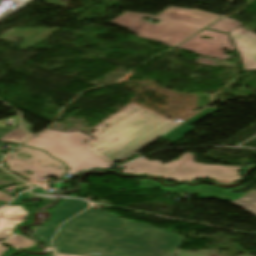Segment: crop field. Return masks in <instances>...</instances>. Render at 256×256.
<instances>
[{"instance_id":"crop-field-21","label":"crop field","mask_w":256,"mask_h":256,"mask_svg":"<svg viewBox=\"0 0 256 256\" xmlns=\"http://www.w3.org/2000/svg\"><path fill=\"white\" fill-rule=\"evenodd\" d=\"M6 203H8V202L0 201V206L4 205V204H6Z\"/></svg>"},{"instance_id":"crop-field-20","label":"crop field","mask_w":256,"mask_h":256,"mask_svg":"<svg viewBox=\"0 0 256 256\" xmlns=\"http://www.w3.org/2000/svg\"><path fill=\"white\" fill-rule=\"evenodd\" d=\"M62 186H66V185H63L61 183H58V184H55L54 187L58 188V187H62Z\"/></svg>"},{"instance_id":"crop-field-14","label":"crop field","mask_w":256,"mask_h":256,"mask_svg":"<svg viewBox=\"0 0 256 256\" xmlns=\"http://www.w3.org/2000/svg\"><path fill=\"white\" fill-rule=\"evenodd\" d=\"M256 216V191H251L236 201H230Z\"/></svg>"},{"instance_id":"crop-field-19","label":"crop field","mask_w":256,"mask_h":256,"mask_svg":"<svg viewBox=\"0 0 256 256\" xmlns=\"http://www.w3.org/2000/svg\"><path fill=\"white\" fill-rule=\"evenodd\" d=\"M44 190H42L41 188H38V189H36V190H33L32 192L33 193H36V192H38V193H41V194H45V192H43Z\"/></svg>"},{"instance_id":"crop-field-2","label":"crop field","mask_w":256,"mask_h":256,"mask_svg":"<svg viewBox=\"0 0 256 256\" xmlns=\"http://www.w3.org/2000/svg\"><path fill=\"white\" fill-rule=\"evenodd\" d=\"M105 124L109 126L104 127ZM177 126L179 124L132 104L94 128L98 130L93 133L96 139L86 148L110 164L118 159L125 161Z\"/></svg>"},{"instance_id":"crop-field-5","label":"crop field","mask_w":256,"mask_h":256,"mask_svg":"<svg viewBox=\"0 0 256 256\" xmlns=\"http://www.w3.org/2000/svg\"><path fill=\"white\" fill-rule=\"evenodd\" d=\"M17 150L19 152L8 155L4 161L7 163L9 171L29 179L28 183L38 182L37 178L46 176L61 179L66 171L65 165L62 162L50 157L43 151L24 146H21ZM23 151L26 152L25 154L32 156V158L20 160L19 156L17 155L19 153H23ZM11 156H14V159H10ZM38 160L41 162H38ZM30 163L32 165H29ZM43 165H45V168L42 167ZM50 165L54 166L49 167ZM58 167H60L61 170H59ZM24 171H32L33 175L23 173Z\"/></svg>"},{"instance_id":"crop-field-3","label":"crop field","mask_w":256,"mask_h":256,"mask_svg":"<svg viewBox=\"0 0 256 256\" xmlns=\"http://www.w3.org/2000/svg\"><path fill=\"white\" fill-rule=\"evenodd\" d=\"M143 16L162 21L153 25L140 19ZM220 17L198 9L186 10L170 7L157 17L125 12L110 23L131 29L138 33V37L163 42L174 47Z\"/></svg>"},{"instance_id":"crop-field-8","label":"crop field","mask_w":256,"mask_h":256,"mask_svg":"<svg viewBox=\"0 0 256 256\" xmlns=\"http://www.w3.org/2000/svg\"><path fill=\"white\" fill-rule=\"evenodd\" d=\"M87 203L76 199H64L61 205L54 209L53 220L46 225V227H35L34 235L45 240V244L50 247V238L55 234L58 225L84 210Z\"/></svg>"},{"instance_id":"crop-field-10","label":"crop field","mask_w":256,"mask_h":256,"mask_svg":"<svg viewBox=\"0 0 256 256\" xmlns=\"http://www.w3.org/2000/svg\"><path fill=\"white\" fill-rule=\"evenodd\" d=\"M192 155V153H188L186 152L185 154H183L182 156H180L177 160L172 161L171 163H167L165 166L160 164V162H150L146 159H141L139 161H136L132 164H129L127 166H124L126 169L123 170L124 174H147V175H153V176H163L166 175L172 171H174L178 166H180L183 162H185L190 156ZM130 167L135 168V170H137V172L135 173V171L132 169V171H130Z\"/></svg>"},{"instance_id":"crop-field-7","label":"crop field","mask_w":256,"mask_h":256,"mask_svg":"<svg viewBox=\"0 0 256 256\" xmlns=\"http://www.w3.org/2000/svg\"><path fill=\"white\" fill-rule=\"evenodd\" d=\"M203 35L212 38V40L200 38ZM178 48L193 51L196 52V54L204 55L222 61L232 57L224 55L225 52L222 51L224 48L235 51V48L227 34L207 29L203 30Z\"/></svg>"},{"instance_id":"crop-field-1","label":"crop field","mask_w":256,"mask_h":256,"mask_svg":"<svg viewBox=\"0 0 256 256\" xmlns=\"http://www.w3.org/2000/svg\"><path fill=\"white\" fill-rule=\"evenodd\" d=\"M78 216V215H77ZM184 239L151 226L89 209L68 221L53 241L55 252L105 256H174Z\"/></svg>"},{"instance_id":"crop-field-22","label":"crop field","mask_w":256,"mask_h":256,"mask_svg":"<svg viewBox=\"0 0 256 256\" xmlns=\"http://www.w3.org/2000/svg\"><path fill=\"white\" fill-rule=\"evenodd\" d=\"M56 256H68V255H60V254H56Z\"/></svg>"},{"instance_id":"crop-field-18","label":"crop field","mask_w":256,"mask_h":256,"mask_svg":"<svg viewBox=\"0 0 256 256\" xmlns=\"http://www.w3.org/2000/svg\"><path fill=\"white\" fill-rule=\"evenodd\" d=\"M11 199H12V197L0 192V200L10 201Z\"/></svg>"},{"instance_id":"crop-field-12","label":"crop field","mask_w":256,"mask_h":256,"mask_svg":"<svg viewBox=\"0 0 256 256\" xmlns=\"http://www.w3.org/2000/svg\"><path fill=\"white\" fill-rule=\"evenodd\" d=\"M218 109L215 108H207L205 111H203L202 113L198 114L197 116H195L194 118L190 119L189 121H187L186 123L182 124L181 126L175 128L174 130H172L170 133H168L167 135H165L163 138L175 143L177 141H179L180 139L184 138L183 135L186 134L187 132H189L190 130H192L191 128H189L188 126L195 123L196 121L200 120L201 118L214 113L215 111H217ZM178 134H180V136H178Z\"/></svg>"},{"instance_id":"crop-field-13","label":"crop field","mask_w":256,"mask_h":256,"mask_svg":"<svg viewBox=\"0 0 256 256\" xmlns=\"http://www.w3.org/2000/svg\"><path fill=\"white\" fill-rule=\"evenodd\" d=\"M1 243H5L7 245H10L12 247H14V250H22V249H27L30 247L35 246L34 242L19 235L14 233L12 236H10L8 239L4 240ZM8 248L6 247H2L0 245V256L7 250Z\"/></svg>"},{"instance_id":"crop-field-11","label":"crop field","mask_w":256,"mask_h":256,"mask_svg":"<svg viewBox=\"0 0 256 256\" xmlns=\"http://www.w3.org/2000/svg\"><path fill=\"white\" fill-rule=\"evenodd\" d=\"M28 214L23 207L7 206L0 209V239L12 234L17 224L25 222Z\"/></svg>"},{"instance_id":"crop-field-9","label":"crop field","mask_w":256,"mask_h":256,"mask_svg":"<svg viewBox=\"0 0 256 256\" xmlns=\"http://www.w3.org/2000/svg\"><path fill=\"white\" fill-rule=\"evenodd\" d=\"M230 34L243 62L244 71L256 70V34L240 27Z\"/></svg>"},{"instance_id":"crop-field-23","label":"crop field","mask_w":256,"mask_h":256,"mask_svg":"<svg viewBox=\"0 0 256 256\" xmlns=\"http://www.w3.org/2000/svg\"><path fill=\"white\" fill-rule=\"evenodd\" d=\"M49 256H52V255H49Z\"/></svg>"},{"instance_id":"crop-field-16","label":"crop field","mask_w":256,"mask_h":256,"mask_svg":"<svg viewBox=\"0 0 256 256\" xmlns=\"http://www.w3.org/2000/svg\"><path fill=\"white\" fill-rule=\"evenodd\" d=\"M29 138V135L25 133L23 130L20 128H15L8 134H6L4 137L0 139L1 142H6V143H17L20 144L26 139Z\"/></svg>"},{"instance_id":"crop-field-4","label":"crop field","mask_w":256,"mask_h":256,"mask_svg":"<svg viewBox=\"0 0 256 256\" xmlns=\"http://www.w3.org/2000/svg\"><path fill=\"white\" fill-rule=\"evenodd\" d=\"M93 140L80 132L63 133L47 130L45 134H39V137L32 138L25 145L43 149L62 160L71 167L67 174H73L87 167H109L110 164L85 148Z\"/></svg>"},{"instance_id":"crop-field-6","label":"crop field","mask_w":256,"mask_h":256,"mask_svg":"<svg viewBox=\"0 0 256 256\" xmlns=\"http://www.w3.org/2000/svg\"><path fill=\"white\" fill-rule=\"evenodd\" d=\"M195 155L186 161L173 175L162 177L172 181H192L194 179L210 178L218 183L230 184L239 181L242 177L237 176L242 167H225L215 165H203L194 162ZM198 167V169H196ZM200 171H197L199 170ZM178 174V176H177ZM185 176H187L185 178ZM196 177V178H193Z\"/></svg>"},{"instance_id":"crop-field-17","label":"crop field","mask_w":256,"mask_h":256,"mask_svg":"<svg viewBox=\"0 0 256 256\" xmlns=\"http://www.w3.org/2000/svg\"><path fill=\"white\" fill-rule=\"evenodd\" d=\"M31 196H33V195L30 194L29 192L21 194V195L18 196V198L12 204H19V203L22 202L24 197H31Z\"/></svg>"},{"instance_id":"crop-field-15","label":"crop field","mask_w":256,"mask_h":256,"mask_svg":"<svg viewBox=\"0 0 256 256\" xmlns=\"http://www.w3.org/2000/svg\"><path fill=\"white\" fill-rule=\"evenodd\" d=\"M240 25H242V23H240L234 19L223 18V19L217 21L216 23H214L212 26H210L209 29L228 33Z\"/></svg>"}]
</instances>
